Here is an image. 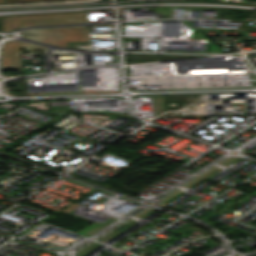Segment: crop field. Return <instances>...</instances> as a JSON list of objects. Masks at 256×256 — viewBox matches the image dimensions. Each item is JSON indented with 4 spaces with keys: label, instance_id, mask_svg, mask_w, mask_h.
I'll use <instances>...</instances> for the list:
<instances>
[{
    "label": "crop field",
    "instance_id": "5a996713",
    "mask_svg": "<svg viewBox=\"0 0 256 256\" xmlns=\"http://www.w3.org/2000/svg\"><path fill=\"white\" fill-rule=\"evenodd\" d=\"M35 1H58V0H22V2H35Z\"/></svg>",
    "mask_w": 256,
    "mask_h": 256
},
{
    "label": "crop field",
    "instance_id": "ac0d7876",
    "mask_svg": "<svg viewBox=\"0 0 256 256\" xmlns=\"http://www.w3.org/2000/svg\"><path fill=\"white\" fill-rule=\"evenodd\" d=\"M89 33L87 25L36 28L21 32V38L42 43L41 34Z\"/></svg>",
    "mask_w": 256,
    "mask_h": 256
},
{
    "label": "crop field",
    "instance_id": "dd49c442",
    "mask_svg": "<svg viewBox=\"0 0 256 256\" xmlns=\"http://www.w3.org/2000/svg\"><path fill=\"white\" fill-rule=\"evenodd\" d=\"M13 26H19V15L4 17L3 30L11 29Z\"/></svg>",
    "mask_w": 256,
    "mask_h": 256
},
{
    "label": "crop field",
    "instance_id": "412701ff",
    "mask_svg": "<svg viewBox=\"0 0 256 256\" xmlns=\"http://www.w3.org/2000/svg\"><path fill=\"white\" fill-rule=\"evenodd\" d=\"M43 43L67 48V41H90L89 34L42 35Z\"/></svg>",
    "mask_w": 256,
    "mask_h": 256
},
{
    "label": "crop field",
    "instance_id": "f4fd0767",
    "mask_svg": "<svg viewBox=\"0 0 256 256\" xmlns=\"http://www.w3.org/2000/svg\"><path fill=\"white\" fill-rule=\"evenodd\" d=\"M155 116L166 111L164 96H152Z\"/></svg>",
    "mask_w": 256,
    "mask_h": 256
},
{
    "label": "crop field",
    "instance_id": "3316defc",
    "mask_svg": "<svg viewBox=\"0 0 256 256\" xmlns=\"http://www.w3.org/2000/svg\"><path fill=\"white\" fill-rule=\"evenodd\" d=\"M17 2H21V0H5V4L17 3Z\"/></svg>",
    "mask_w": 256,
    "mask_h": 256
},
{
    "label": "crop field",
    "instance_id": "8a807250",
    "mask_svg": "<svg viewBox=\"0 0 256 256\" xmlns=\"http://www.w3.org/2000/svg\"><path fill=\"white\" fill-rule=\"evenodd\" d=\"M81 22H88L87 11L20 15V28Z\"/></svg>",
    "mask_w": 256,
    "mask_h": 256
},
{
    "label": "crop field",
    "instance_id": "34b2d1b8",
    "mask_svg": "<svg viewBox=\"0 0 256 256\" xmlns=\"http://www.w3.org/2000/svg\"><path fill=\"white\" fill-rule=\"evenodd\" d=\"M20 41L17 43H9L4 46V61L2 62V70L20 69Z\"/></svg>",
    "mask_w": 256,
    "mask_h": 256
},
{
    "label": "crop field",
    "instance_id": "e52e79f7",
    "mask_svg": "<svg viewBox=\"0 0 256 256\" xmlns=\"http://www.w3.org/2000/svg\"><path fill=\"white\" fill-rule=\"evenodd\" d=\"M101 228H103V227L91 223L90 225H88L87 227L79 230L76 233H79V234L85 235V236H89V235L93 234L94 232L98 231Z\"/></svg>",
    "mask_w": 256,
    "mask_h": 256
},
{
    "label": "crop field",
    "instance_id": "28ad6ade",
    "mask_svg": "<svg viewBox=\"0 0 256 256\" xmlns=\"http://www.w3.org/2000/svg\"><path fill=\"white\" fill-rule=\"evenodd\" d=\"M0 4H4V0H0Z\"/></svg>",
    "mask_w": 256,
    "mask_h": 256
},
{
    "label": "crop field",
    "instance_id": "d8731c3e",
    "mask_svg": "<svg viewBox=\"0 0 256 256\" xmlns=\"http://www.w3.org/2000/svg\"><path fill=\"white\" fill-rule=\"evenodd\" d=\"M21 46L25 48V50H31V49H39L43 48L42 46L26 43L21 41Z\"/></svg>",
    "mask_w": 256,
    "mask_h": 256
}]
</instances>
